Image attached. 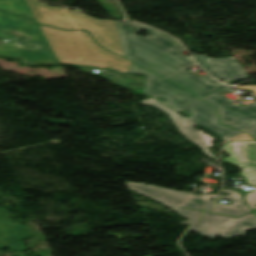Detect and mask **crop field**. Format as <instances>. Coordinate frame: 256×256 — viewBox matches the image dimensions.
I'll return each mask as SVG.
<instances>
[{
    "label": "crop field",
    "instance_id": "5",
    "mask_svg": "<svg viewBox=\"0 0 256 256\" xmlns=\"http://www.w3.org/2000/svg\"><path fill=\"white\" fill-rule=\"evenodd\" d=\"M254 228H256V217L253 213L237 219L205 213L189 231L211 239L217 235L230 239L233 235L243 236L246 230Z\"/></svg>",
    "mask_w": 256,
    "mask_h": 256
},
{
    "label": "crop field",
    "instance_id": "21",
    "mask_svg": "<svg viewBox=\"0 0 256 256\" xmlns=\"http://www.w3.org/2000/svg\"><path fill=\"white\" fill-rule=\"evenodd\" d=\"M0 248H7L5 241L3 239V236L1 234V231H0Z\"/></svg>",
    "mask_w": 256,
    "mask_h": 256
},
{
    "label": "crop field",
    "instance_id": "7",
    "mask_svg": "<svg viewBox=\"0 0 256 256\" xmlns=\"http://www.w3.org/2000/svg\"><path fill=\"white\" fill-rule=\"evenodd\" d=\"M129 72L146 75L148 78L145 81L144 92L152 95L154 98L163 96L167 101L163 102L169 107L175 109L183 106L195 99L196 96L182 90L173 83L149 72L139 68L136 64H132Z\"/></svg>",
    "mask_w": 256,
    "mask_h": 256
},
{
    "label": "crop field",
    "instance_id": "20",
    "mask_svg": "<svg viewBox=\"0 0 256 256\" xmlns=\"http://www.w3.org/2000/svg\"><path fill=\"white\" fill-rule=\"evenodd\" d=\"M251 139L247 134L239 135L231 140Z\"/></svg>",
    "mask_w": 256,
    "mask_h": 256
},
{
    "label": "crop field",
    "instance_id": "11",
    "mask_svg": "<svg viewBox=\"0 0 256 256\" xmlns=\"http://www.w3.org/2000/svg\"><path fill=\"white\" fill-rule=\"evenodd\" d=\"M141 103L144 105H151V106L163 111L167 115H169L172 122L177 127V129L187 138V140H189L192 143H194L195 145L199 146L205 155L213 158L214 160L216 159L214 157L213 153L208 151V147L206 146L204 141L201 139V137L199 136V134L197 133L195 128L192 127L197 124H195L194 122L188 120L187 118L179 115L173 109L167 107L166 105L162 104L161 102H159L153 98H149L145 101H142Z\"/></svg>",
    "mask_w": 256,
    "mask_h": 256
},
{
    "label": "crop field",
    "instance_id": "4",
    "mask_svg": "<svg viewBox=\"0 0 256 256\" xmlns=\"http://www.w3.org/2000/svg\"><path fill=\"white\" fill-rule=\"evenodd\" d=\"M132 191L143 194L164 206L175 210L179 215L189 219L187 222L179 224L190 225L201 213H203L214 201L210 198L213 195H193L187 192H178L158 186L145 185L146 183L126 182Z\"/></svg>",
    "mask_w": 256,
    "mask_h": 256
},
{
    "label": "crop field",
    "instance_id": "2",
    "mask_svg": "<svg viewBox=\"0 0 256 256\" xmlns=\"http://www.w3.org/2000/svg\"><path fill=\"white\" fill-rule=\"evenodd\" d=\"M40 27L60 64L74 63L97 66L99 69L109 67L127 73L132 63L97 46L87 32Z\"/></svg>",
    "mask_w": 256,
    "mask_h": 256
},
{
    "label": "crop field",
    "instance_id": "9",
    "mask_svg": "<svg viewBox=\"0 0 256 256\" xmlns=\"http://www.w3.org/2000/svg\"><path fill=\"white\" fill-rule=\"evenodd\" d=\"M184 109H190L192 111V116L188 117L189 119L202 125L225 140L230 136L240 133L237 130L218 124L215 108L200 99L175 110L178 111Z\"/></svg>",
    "mask_w": 256,
    "mask_h": 256
},
{
    "label": "crop field",
    "instance_id": "14",
    "mask_svg": "<svg viewBox=\"0 0 256 256\" xmlns=\"http://www.w3.org/2000/svg\"><path fill=\"white\" fill-rule=\"evenodd\" d=\"M218 72L227 81L229 80H241L247 77V74L236 61L235 58H225V59H214L209 58ZM220 62V63H217Z\"/></svg>",
    "mask_w": 256,
    "mask_h": 256
},
{
    "label": "crop field",
    "instance_id": "10",
    "mask_svg": "<svg viewBox=\"0 0 256 256\" xmlns=\"http://www.w3.org/2000/svg\"><path fill=\"white\" fill-rule=\"evenodd\" d=\"M15 29L30 36L31 40H24V42L38 44L41 47H49L47 41L43 37L38 25L26 19L13 17L7 14L0 13V39L13 40L17 36L8 35V33Z\"/></svg>",
    "mask_w": 256,
    "mask_h": 256
},
{
    "label": "crop field",
    "instance_id": "17",
    "mask_svg": "<svg viewBox=\"0 0 256 256\" xmlns=\"http://www.w3.org/2000/svg\"><path fill=\"white\" fill-rule=\"evenodd\" d=\"M16 40L9 41L7 43H2L0 45V56H7V57L21 59L16 48H22V46L14 44Z\"/></svg>",
    "mask_w": 256,
    "mask_h": 256
},
{
    "label": "crop field",
    "instance_id": "19",
    "mask_svg": "<svg viewBox=\"0 0 256 256\" xmlns=\"http://www.w3.org/2000/svg\"><path fill=\"white\" fill-rule=\"evenodd\" d=\"M243 198L248 204L251 211L256 210V188L254 191L245 193Z\"/></svg>",
    "mask_w": 256,
    "mask_h": 256
},
{
    "label": "crop field",
    "instance_id": "13",
    "mask_svg": "<svg viewBox=\"0 0 256 256\" xmlns=\"http://www.w3.org/2000/svg\"><path fill=\"white\" fill-rule=\"evenodd\" d=\"M222 191L228 192L230 195H220V198L232 200L234 203L232 205H222L217 202L208 212L232 217H238L250 212L239 192L229 189H223Z\"/></svg>",
    "mask_w": 256,
    "mask_h": 256
},
{
    "label": "crop field",
    "instance_id": "8",
    "mask_svg": "<svg viewBox=\"0 0 256 256\" xmlns=\"http://www.w3.org/2000/svg\"><path fill=\"white\" fill-rule=\"evenodd\" d=\"M225 146L224 152L231 157L223 160L241 167V176L247 177L248 184L256 185V140L228 141Z\"/></svg>",
    "mask_w": 256,
    "mask_h": 256
},
{
    "label": "crop field",
    "instance_id": "3",
    "mask_svg": "<svg viewBox=\"0 0 256 256\" xmlns=\"http://www.w3.org/2000/svg\"><path fill=\"white\" fill-rule=\"evenodd\" d=\"M25 1L38 23L62 29L89 31L101 47L124 57L113 20H97L81 11H69L65 7L48 6L39 0Z\"/></svg>",
    "mask_w": 256,
    "mask_h": 256
},
{
    "label": "crop field",
    "instance_id": "23",
    "mask_svg": "<svg viewBox=\"0 0 256 256\" xmlns=\"http://www.w3.org/2000/svg\"><path fill=\"white\" fill-rule=\"evenodd\" d=\"M248 134H250L252 137L256 138V129L251 131V132H249Z\"/></svg>",
    "mask_w": 256,
    "mask_h": 256
},
{
    "label": "crop field",
    "instance_id": "1",
    "mask_svg": "<svg viewBox=\"0 0 256 256\" xmlns=\"http://www.w3.org/2000/svg\"><path fill=\"white\" fill-rule=\"evenodd\" d=\"M125 58L139 66L157 73L164 78L186 88L198 97L218 90L226 85L208 76H193L185 69L195 65L191 56L182 54L183 47L172 37L139 24L114 21ZM146 30L148 37L136 36Z\"/></svg>",
    "mask_w": 256,
    "mask_h": 256
},
{
    "label": "crop field",
    "instance_id": "22",
    "mask_svg": "<svg viewBox=\"0 0 256 256\" xmlns=\"http://www.w3.org/2000/svg\"><path fill=\"white\" fill-rule=\"evenodd\" d=\"M237 88L251 89V90L256 92V86H237Z\"/></svg>",
    "mask_w": 256,
    "mask_h": 256
},
{
    "label": "crop field",
    "instance_id": "15",
    "mask_svg": "<svg viewBox=\"0 0 256 256\" xmlns=\"http://www.w3.org/2000/svg\"><path fill=\"white\" fill-rule=\"evenodd\" d=\"M24 62L31 64L58 63L51 47L33 50L29 48L18 49Z\"/></svg>",
    "mask_w": 256,
    "mask_h": 256
},
{
    "label": "crop field",
    "instance_id": "24",
    "mask_svg": "<svg viewBox=\"0 0 256 256\" xmlns=\"http://www.w3.org/2000/svg\"><path fill=\"white\" fill-rule=\"evenodd\" d=\"M255 216H256V212H254Z\"/></svg>",
    "mask_w": 256,
    "mask_h": 256
},
{
    "label": "crop field",
    "instance_id": "6",
    "mask_svg": "<svg viewBox=\"0 0 256 256\" xmlns=\"http://www.w3.org/2000/svg\"><path fill=\"white\" fill-rule=\"evenodd\" d=\"M219 92L233 91L231 87L227 86L201 99L218 107L222 124L241 131L256 126V103L249 104L245 107L232 105L228 102L231 99L217 95Z\"/></svg>",
    "mask_w": 256,
    "mask_h": 256
},
{
    "label": "crop field",
    "instance_id": "16",
    "mask_svg": "<svg viewBox=\"0 0 256 256\" xmlns=\"http://www.w3.org/2000/svg\"><path fill=\"white\" fill-rule=\"evenodd\" d=\"M0 10L36 22L24 0H0Z\"/></svg>",
    "mask_w": 256,
    "mask_h": 256
},
{
    "label": "crop field",
    "instance_id": "18",
    "mask_svg": "<svg viewBox=\"0 0 256 256\" xmlns=\"http://www.w3.org/2000/svg\"><path fill=\"white\" fill-rule=\"evenodd\" d=\"M193 57L200 65H202L203 69L210 73L214 78L218 80L223 79L205 55H193Z\"/></svg>",
    "mask_w": 256,
    "mask_h": 256
},
{
    "label": "crop field",
    "instance_id": "12",
    "mask_svg": "<svg viewBox=\"0 0 256 256\" xmlns=\"http://www.w3.org/2000/svg\"><path fill=\"white\" fill-rule=\"evenodd\" d=\"M0 228L9 251H26L21 239L30 238L25 226L11 224L6 208H0Z\"/></svg>",
    "mask_w": 256,
    "mask_h": 256
}]
</instances>
